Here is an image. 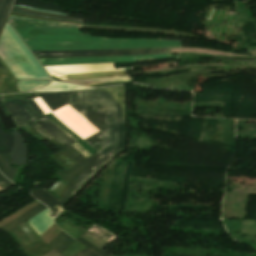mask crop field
I'll use <instances>...</instances> for the list:
<instances>
[{"instance_id":"crop-field-11","label":"crop field","mask_w":256,"mask_h":256,"mask_svg":"<svg viewBox=\"0 0 256 256\" xmlns=\"http://www.w3.org/2000/svg\"><path fill=\"white\" fill-rule=\"evenodd\" d=\"M125 75H129L127 70L115 71V72L91 73V74L60 75L55 77L61 81H66V80L89 79V78L117 77V76H125Z\"/></svg>"},{"instance_id":"crop-field-31","label":"crop field","mask_w":256,"mask_h":256,"mask_svg":"<svg viewBox=\"0 0 256 256\" xmlns=\"http://www.w3.org/2000/svg\"><path fill=\"white\" fill-rule=\"evenodd\" d=\"M14 12V11H13ZM53 19V18H52ZM57 20H61V19H57Z\"/></svg>"},{"instance_id":"crop-field-9","label":"crop field","mask_w":256,"mask_h":256,"mask_svg":"<svg viewBox=\"0 0 256 256\" xmlns=\"http://www.w3.org/2000/svg\"><path fill=\"white\" fill-rule=\"evenodd\" d=\"M27 124L32 127L35 131L41 134L44 138H46L49 142L59 148L63 153H65L69 158H71L75 163L85 159L79 152H77L73 147L69 144L63 146L53 137H51L48 133H46L43 129H41L37 124L33 121L27 122Z\"/></svg>"},{"instance_id":"crop-field-14","label":"crop field","mask_w":256,"mask_h":256,"mask_svg":"<svg viewBox=\"0 0 256 256\" xmlns=\"http://www.w3.org/2000/svg\"><path fill=\"white\" fill-rule=\"evenodd\" d=\"M14 4L25 5V6H33V7H39V8H44V9H49V10L62 12L58 5L43 2V1H40V0H15Z\"/></svg>"},{"instance_id":"crop-field-4","label":"crop field","mask_w":256,"mask_h":256,"mask_svg":"<svg viewBox=\"0 0 256 256\" xmlns=\"http://www.w3.org/2000/svg\"><path fill=\"white\" fill-rule=\"evenodd\" d=\"M34 52L38 56V58L40 57L41 58H61V57L161 54V53H169V50L168 48H145V49H123V50L37 51L40 57L36 53V51Z\"/></svg>"},{"instance_id":"crop-field-28","label":"crop field","mask_w":256,"mask_h":256,"mask_svg":"<svg viewBox=\"0 0 256 256\" xmlns=\"http://www.w3.org/2000/svg\"><path fill=\"white\" fill-rule=\"evenodd\" d=\"M81 252L85 253V254L88 255V256H98V255L92 253L93 251L91 252V251L88 250L87 248H85V249L82 250Z\"/></svg>"},{"instance_id":"crop-field-15","label":"crop field","mask_w":256,"mask_h":256,"mask_svg":"<svg viewBox=\"0 0 256 256\" xmlns=\"http://www.w3.org/2000/svg\"><path fill=\"white\" fill-rule=\"evenodd\" d=\"M31 195L37 200H39L40 202L44 203L48 207L54 204L56 201H58L51 194H49L45 189L42 191L35 189L31 191Z\"/></svg>"},{"instance_id":"crop-field-22","label":"crop field","mask_w":256,"mask_h":256,"mask_svg":"<svg viewBox=\"0 0 256 256\" xmlns=\"http://www.w3.org/2000/svg\"><path fill=\"white\" fill-rule=\"evenodd\" d=\"M35 101L37 102L38 106L43 110L45 114L51 112V110L48 108V106L43 102V100L40 97L35 98Z\"/></svg>"},{"instance_id":"crop-field-16","label":"crop field","mask_w":256,"mask_h":256,"mask_svg":"<svg viewBox=\"0 0 256 256\" xmlns=\"http://www.w3.org/2000/svg\"><path fill=\"white\" fill-rule=\"evenodd\" d=\"M0 170L7 178L11 180L15 173L16 168L9 166L8 154H0Z\"/></svg>"},{"instance_id":"crop-field-19","label":"crop field","mask_w":256,"mask_h":256,"mask_svg":"<svg viewBox=\"0 0 256 256\" xmlns=\"http://www.w3.org/2000/svg\"><path fill=\"white\" fill-rule=\"evenodd\" d=\"M13 10H15V7ZM16 11L45 16V17L61 18V19H65V20L83 21V19H77V18H73V17H69V16L55 15V14H49V13H43V12H37V11H30V10H24V9H20V8H17Z\"/></svg>"},{"instance_id":"crop-field-21","label":"crop field","mask_w":256,"mask_h":256,"mask_svg":"<svg viewBox=\"0 0 256 256\" xmlns=\"http://www.w3.org/2000/svg\"><path fill=\"white\" fill-rule=\"evenodd\" d=\"M77 241L81 242L82 244H84L85 246H87L88 248L92 249L93 251L97 252L98 254H100L101 256H109L106 253L102 252L101 250H99L98 248H96L95 246L91 245L90 243L86 242L85 240H83L82 238H78Z\"/></svg>"},{"instance_id":"crop-field-3","label":"crop field","mask_w":256,"mask_h":256,"mask_svg":"<svg viewBox=\"0 0 256 256\" xmlns=\"http://www.w3.org/2000/svg\"><path fill=\"white\" fill-rule=\"evenodd\" d=\"M9 22L22 39H106L91 37L79 31L80 25L63 24L23 18L9 17Z\"/></svg>"},{"instance_id":"crop-field-5","label":"crop field","mask_w":256,"mask_h":256,"mask_svg":"<svg viewBox=\"0 0 256 256\" xmlns=\"http://www.w3.org/2000/svg\"><path fill=\"white\" fill-rule=\"evenodd\" d=\"M170 54L143 55V56H121V57H87V58H61V59H39L43 66L68 65V64H94L111 62H132L151 59L172 58Z\"/></svg>"},{"instance_id":"crop-field-20","label":"crop field","mask_w":256,"mask_h":256,"mask_svg":"<svg viewBox=\"0 0 256 256\" xmlns=\"http://www.w3.org/2000/svg\"><path fill=\"white\" fill-rule=\"evenodd\" d=\"M53 250L50 246H48L47 244L43 247H41L40 249H38L37 251L27 255V256H42L43 254L49 252Z\"/></svg>"},{"instance_id":"crop-field-24","label":"crop field","mask_w":256,"mask_h":256,"mask_svg":"<svg viewBox=\"0 0 256 256\" xmlns=\"http://www.w3.org/2000/svg\"><path fill=\"white\" fill-rule=\"evenodd\" d=\"M29 104L32 106V108L35 110V112L38 114V116L45 115L41 109L37 106V104L34 102V100H28Z\"/></svg>"},{"instance_id":"crop-field-17","label":"crop field","mask_w":256,"mask_h":256,"mask_svg":"<svg viewBox=\"0 0 256 256\" xmlns=\"http://www.w3.org/2000/svg\"><path fill=\"white\" fill-rule=\"evenodd\" d=\"M12 142H13V138L11 133L3 134L0 127V153L10 154Z\"/></svg>"},{"instance_id":"crop-field-1","label":"crop field","mask_w":256,"mask_h":256,"mask_svg":"<svg viewBox=\"0 0 256 256\" xmlns=\"http://www.w3.org/2000/svg\"><path fill=\"white\" fill-rule=\"evenodd\" d=\"M98 94L99 102L55 103L64 100L98 101L97 89L39 93L45 103H55L47 104L51 110L68 104L100 130L84 140L97 153L58 174L68 185L60 200L49 207L54 217L99 169L122 152L126 146L123 86L98 89Z\"/></svg>"},{"instance_id":"crop-field-10","label":"crop field","mask_w":256,"mask_h":256,"mask_svg":"<svg viewBox=\"0 0 256 256\" xmlns=\"http://www.w3.org/2000/svg\"><path fill=\"white\" fill-rule=\"evenodd\" d=\"M33 121L35 123H37L41 128H43L46 132H48L50 135H52L55 139H57L63 145L70 143V142H74L71 138H69L63 131H61L55 124H53L45 116H43L41 118H37Z\"/></svg>"},{"instance_id":"crop-field-13","label":"crop field","mask_w":256,"mask_h":256,"mask_svg":"<svg viewBox=\"0 0 256 256\" xmlns=\"http://www.w3.org/2000/svg\"><path fill=\"white\" fill-rule=\"evenodd\" d=\"M73 241H74L73 238L69 237L67 234H65L63 231H61L48 244L60 253Z\"/></svg>"},{"instance_id":"crop-field-26","label":"crop field","mask_w":256,"mask_h":256,"mask_svg":"<svg viewBox=\"0 0 256 256\" xmlns=\"http://www.w3.org/2000/svg\"><path fill=\"white\" fill-rule=\"evenodd\" d=\"M14 6H16V5H14ZM16 7H21V8L30 9V10H37V11H44V12H50V13L67 15V14H64V13L51 12V11L39 10V9H34V8L22 7V6H16Z\"/></svg>"},{"instance_id":"crop-field-18","label":"crop field","mask_w":256,"mask_h":256,"mask_svg":"<svg viewBox=\"0 0 256 256\" xmlns=\"http://www.w3.org/2000/svg\"><path fill=\"white\" fill-rule=\"evenodd\" d=\"M12 0H0V32L7 20Z\"/></svg>"},{"instance_id":"crop-field-7","label":"crop field","mask_w":256,"mask_h":256,"mask_svg":"<svg viewBox=\"0 0 256 256\" xmlns=\"http://www.w3.org/2000/svg\"><path fill=\"white\" fill-rule=\"evenodd\" d=\"M4 105L13 115L14 119L18 122L20 127L26 126L25 122L37 117L26 102L11 100L4 102Z\"/></svg>"},{"instance_id":"crop-field-8","label":"crop field","mask_w":256,"mask_h":256,"mask_svg":"<svg viewBox=\"0 0 256 256\" xmlns=\"http://www.w3.org/2000/svg\"><path fill=\"white\" fill-rule=\"evenodd\" d=\"M80 237L84 238L88 242L92 243L99 249H103L108 243L113 241L115 238L114 235L110 234L109 232L101 229L98 226H93L91 229H89L87 232H85Z\"/></svg>"},{"instance_id":"crop-field-27","label":"crop field","mask_w":256,"mask_h":256,"mask_svg":"<svg viewBox=\"0 0 256 256\" xmlns=\"http://www.w3.org/2000/svg\"><path fill=\"white\" fill-rule=\"evenodd\" d=\"M48 117L52 122H54L61 130H63L69 137H71L73 140L77 141L75 138H73L69 133H67L62 127H60L54 120H52L48 115H45ZM53 123V124H54Z\"/></svg>"},{"instance_id":"crop-field-29","label":"crop field","mask_w":256,"mask_h":256,"mask_svg":"<svg viewBox=\"0 0 256 256\" xmlns=\"http://www.w3.org/2000/svg\"><path fill=\"white\" fill-rule=\"evenodd\" d=\"M44 256H61V255L53 250V251L49 252L48 254H46Z\"/></svg>"},{"instance_id":"crop-field-30","label":"crop field","mask_w":256,"mask_h":256,"mask_svg":"<svg viewBox=\"0 0 256 256\" xmlns=\"http://www.w3.org/2000/svg\"><path fill=\"white\" fill-rule=\"evenodd\" d=\"M76 256H86V255H84L83 253H79V254H77Z\"/></svg>"},{"instance_id":"crop-field-25","label":"crop field","mask_w":256,"mask_h":256,"mask_svg":"<svg viewBox=\"0 0 256 256\" xmlns=\"http://www.w3.org/2000/svg\"><path fill=\"white\" fill-rule=\"evenodd\" d=\"M12 183L10 181H8L6 178H4L1 173H0V187L2 189L10 186Z\"/></svg>"},{"instance_id":"crop-field-6","label":"crop field","mask_w":256,"mask_h":256,"mask_svg":"<svg viewBox=\"0 0 256 256\" xmlns=\"http://www.w3.org/2000/svg\"><path fill=\"white\" fill-rule=\"evenodd\" d=\"M52 114H54L58 119H60L65 125H67L83 140L99 131L83 116H81L78 112H76L68 105L52 112Z\"/></svg>"},{"instance_id":"crop-field-12","label":"crop field","mask_w":256,"mask_h":256,"mask_svg":"<svg viewBox=\"0 0 256 256\" xmlns=\"http://www.w3.org/2000/svg\"><path fill=\"white\" fill-rule=\"evenodd\" d=\"M44 206L41 203L38 204L37 206H35L32 209H30L29 211L25 212L24 214H22L18 218H16V219L6 223L5 225L1 226L0 229L4 230L6 232L14 229L18 225L26 222L27 220H29L30 218H32L33 216H35L36 214L41 212L42 210L46 209V207H44Z\"/></svg>"},{"instance_id":"crop-field-23","label":"crop field","mask_w":256,"mask_h":256,"mask_svg":"<svg viewBox=\"0 0 256 256\" xmlns=\"http://www.w3.org/2000/svg\"><path fill=\"white\" fill-rule=\"evenodd\" d=\"M76 150H78L82 155H84L86 158L91 157L89 153H87L81 146H79L76 142L70 143Z\"/></svg>"},{"instance_id":"crop-field-2","label":"crop field","mask_w":256,"mask_h":256,"mask_svg":"<svg viewBox=\"0 0 256 256\" xmlns=\"http://www.w3.org/2000/svg\"><path fill=\"white\" fill-rule=\"evenodd\" d=\"M30 50L122 49L180 46L179 40L108 38L107 40H24Z\"/></svg>"}]
</instances>
